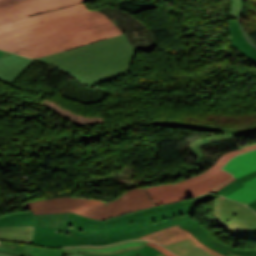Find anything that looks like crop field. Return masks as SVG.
<instances>
[{"label": "crop field", "instance_id": "e1f06a70", "mask_svg": "<svg viewBox=\"0 0 256 256\" xmlns=\"http://www.w3.org/2000/svg\"><path fill=\"white\" fill-rule=\"evenodd\" d=\"M138 256H142V255L139 254Z\"/></svg>", "mask_w": 256, "mask_h": 256}, {"label": "crop field", "instance_id": "ac0d7876", "mask_svg": "<svg viewBox=\"0 0 256 256\" xmlns=\"http://www.w3.org/2000/svg\"><path fill=\"white\" fill-rule=\"evenodd\" d=\"M135 49L126 35L38 58L90 87L126 74Z\"/></svg>", "mask_w": 256, "mask_h": 256}, {"label": "crop field", "instance_id": "d8731c3e", "mask_svg": "<svg viewBox=\"0 0 256 256\" xmlns=\"http://www.w3.org/2000/svg\"><path fill=\"white\" fill-rule=\"evenodd\" d=\"M224 170L231 172L236 178L256 170V150L243 153L225 164ZM246 186L231 193L229 198L243 204L256 199V178L244 183Z\"/></svg>", "mask_w": 256, "mask_h": 256}, {"label": "crop field", "instance_id": "1d83c4d3", "mask_svg": "<svg viewBox=\"0 0 256 256\" xmlns=\"http://www.w3.org/2000/svg\"><path fill=\"white\" fill-rule=\"evenodd\" d=\"M247 206L251 207L253 210L256 211V200L251 202V203H249V204H247Z\"/></svg>", "mask_w": 256, "mask_h": 256}, {"label": "crop field", "instance_id": "dd49c442", "mask_svg": "<svg viewBox=\"0 0 256 256\" xmlns=\"http://www.w3.org/2000/svg\"><path fill=\"white\" fill-rule=\"evenodd\" d=\"M123 33L124 32L120 30L114 23H111L106 26H102V27L94 28L81 33H77L63 39L29 47L15 53L23 54L27 57L38 58V57L58 53L74 47H78L85 44L111 38Z\"/></svg>", "mask_w": 256, "mask_h": 256}, {"label": "crop field", "instance_id": "3316defc", "mask_svg": "<svg viewBox=\"0 0 256 256\" xmlns=\"http://www.w3.org/2000/svg\"><path fill=\"white\" fill-rule=\"evenodd\" d=\"M87 0H39L25 5L0 11V24L52 11Z\"/></svg>", "mask_w": 256, "mask_h": 256}, {"label": "crop field", "instance_id": "8a807250", "mask_svg": "<svg viewBox=\"0 0 256 256\" xmlns=\"http://www.w3.org/2000/svg\"><path fill=\"white\" fill-rule=\"evenodd\" d=\"M111 22L80 3L0 25V48L14 52Z\"/></svg>", "mask_w": 256, "mask_h": 256}, {"label": "crop field", "instance_id": "d32e631a", "mask_svg": "<svg viewBox=\"0 0 256 256\" xmlns=\"http://www.w3.org/2000/svg\"><path fill=\"white\" fill-rule=\"evenodd\" d=\"M0 256H19V255H13V254H8V253H1Z\"/></svg>", "mask_w": 256, "mask_h": 256}, {"label": "crop field", "instance_id": "bc2a9ffb", "mask_svg": "<svg viewBox=\"0 0 256 256\" xmlns=\"http://www.w3.org/2000/svg\"><path fill=\"white\" fill-rule=\"evenodd\" d=\"M179 256H213L190 239L165 246Z\"/></svg>", "mask_w": 256, "mask_h": 256}, {"label": "crop field", "instance_id": "22f410ed", "mask_svg": "<svg viewBox=\"0 0 256 256\" xmlns=\"http://www.w3.org/2000/svg\"><path fill=\"white\" fill-rule=\"evenodd\" d=\"M33 62L34 60L6 52L0 57V80L10 84Z\"/></svg>", "mask_w": 256, "mask_h": 256}, {"label": "crop field", "instance_id": "00972430", "mask_svg": "<svg viewBox=\"0 0 256 256\" xmlns=\"http://www.w3.org/2000/svg\"><path fill=\"white\" fill-rule=\"evenodd\" d=\"M255 177H256V171L234 180L233 182H231L227 186H225L222 189H220L219 191H217V193L222 194L224 196H227L231 192H233V191L241 188L242 186H244L242 183H244V182H246V181H248L252 178H255Z\"/></svg>", "mask_w": 256, "mask_h": 256}, {"label": "crop field", "instance_id": "e52e79f7", "mask_svg": "<svg viewBox=\"0 0 256 256\" xmlns=\"http://www.w3.org/2000/svg\"><path fill=\"white\" fill-rule=\"evenodd\" d=\"M231 177V174L219 170L213 176L198 183L181 187L177 182H174L166 185L147 187L146 190L153 200L154 205L157 206L210 192Z\"/></svg>", "mask_w": 256, "mask_h": 256}, {"label": "crop field", "instance_id": "214f88e0", "mask_svg": "<svg viewBox=\"0 0 256 256\" xmlns=\"http://www.w3.org/2000/svg\"><path fill=\"white\" fill-rule=\"evenodd\" d=\"M239 153H243L241 150L239 151H234V152H230L226 155H223L219 158V160L216 162V164L210 168L209 170L205 171L204 173L196 176V177H193V178H190V179H187V180H184V181H181V182H178L179 185L183 186V185H186V184H190V183H194V182H198L212 174H214L217 170H219V168L225 164L229 158L239 154Z\"/></svg>", "mask_w": 256, "mask_h": 256}, {"label": "crop field", "instance_id": "5866460e", "mask_svg": "<svg viewBox=\"0 0 256 256\" xmlns=\"http://www.w3.org/2000/svg\"><path fill=\"white\" fill-rule=\"evenodd\" d=\"M227 256H239V255H235V254L229 253V254H227Z\"/></svg>", "mask_w": 256, "mask_h": 256}, {"label": "crop field", "instance_id": "34b2d1b8", "mask_svg": "<svg viewBox=\"0 0 256 256\" xmlns=\"http://www.w3.org/2000/svg\"><path fill=\"white\" fill-rule=\"evenodd\" d=\"M143 235L138 223L105 229L102 222L72 213H60L35 216L32 244L50 247L103 245Z\"/></svg>", "mask_w": 256, "mask_h": 256}, {"label": "crop field", "instance_id": "cbeb9de0", "mask_svg": "<svg viewBox=\"0 0 256 256\" xmlns=\"http://www.w3.org/2000/svg\"><path fill=\"white\" fill-rule=\"evenodd\" d=\"M188 238H190L194 243L201 246L208 252H210L216 256H224V255H221V254L213 251L209 247L201 244L191 233H189L186 230L180 229L179 225L151 233L149 235L143 236L138 239L155 241L164 246L166 244L177 242V241L188 239Z\"/></svg>", "mask_w": 256, "mask_h": 256}, {"label": "crop field", "instance_id": "28ad6ade", "mask_svg": "<svg viewBox=\"0 0 256 256\" xmlns=\"http://www.w3.org/2000/svg\"><path fill=\"white\" fill-rule=\"evenodd\" d=\"M191 216H192V214H189L186 216H180L177 218H171V219L163 220L156 224H151V225H148V226L142 227V228H143L144 234L146 235V234H149L151 232H154V231L166 228V227L178 225L179 222H189V223L195 225L196 227H198L199 229H201L212 241H214L216 244L223 247L227 251L233 252V253H236L239 255H244V256H256V249H233V248L223 244L222 242L214 239V237L206 230V228L203 225H201L198 221L191 218Z\"/></svg>", "mask_w": 256, "mask_h": 256}, {"label": "crop field", "instance_id": "f4fd0767", "mask_svg": "<svg viewBox=\"0 0 256 256\" xmlns=\"http://www.w3.org/2000/svg\"><path fill=\"white\" fill-rule=\"evenodd\" d=\"M218 197L220 196H217L215 194H205L203 196L195 197L193 199H187L179 203L160 207H153L129 213L118 218L110 219L105 222V225L106 228H108L117 225L138 222L141 226H145L147 224L155 223L163 219L193 213L196 205Z\"/></svg>", "mask_w": 256, "mask_h": 256}, {"label": "crop field", "instance_id": "ae1a2a85", "mask_svg": "<svg viewBox=\"0 0 256 256\" xmlns=\"http://www.w3.org/2000/svg\"><path fill=\"white\" fill-rule=\"evenodd\" d=\"M147 245H150V246H152V247H154V248H156V249L162 251V252L165 253L167 256H175L173 253H171V252L168 251L167 249H165V248H163V247H161V246H159V245H157V244H154V243H152V242H148ZM162 252H161V253H162ZM165 254H164V255H165Z\"/></svg>", "mask_w": 256, "mask_h": 256}, {"label": "crop field", "instance_id": "4177f3b9", "mask_svg": "<svg viewBox=\"0 0 256 256\" xmlns=\"http://www.w3.org/2000/svg\"><path fill=\"white\" fill-rule=\"evenodd\" d=\"M232 8L229 13L228 18L230 19H237L241 9H242V0H232Z\"/></svg>", "mask_w": 256, "mask_h": 256}, {"label": "crop field", "instance_id": "d9b57169", "mask_svg": "<svg viewBox=\"0 0 256 256\" xmlns=\"http://www.w3.org/2000/svg\"><path fill=\"white\" fill-rule=\"evenodd\" d=\"M228 33L234 49L256 63V48L245 39L237 21L228 20Z\"/></svg>", "mask_w": 256, "mask_h": 256}, {"label": "crop field", "instance_id": "4a817a6b", "mask_svg": "<svg viewBox=\"0 0 256 256\" xmlns=\"http://www.w3.org/2000/svg\"><path fill=\"white\" fill-rule=\"evenodd\" d=\"M152 124L162 125V126H170V127H178V128L226 132V133H228L230 135H234V136H239V135H243V134H247V133L256 131V126L244 128V129H238V130H231V129H224V128H219V127H214V126L201 125V124H195V123H187V122H179V121H159V122H152Z\"/></svg>", "mask_w": 256, "mask_h": 256}, {"label": "crop field", "instance_id": "5a996713", "mask_svg": "<svg viewBox=\"0 0 256 256\" xmlns=\"http://www.w3.org/2000/svg\"><path fill=\"white\" fill-rule=\"evenodd\" d=\"M33 214L31 211H19L0 216V239L31 244L34 232Z\"/></svg>", "mask_w": 256, "mask_h": 256}, {"label": "crop field", "instance_id": "412701ff", "mask_svg": "<svg viewBox=\"0 0 256 256\" xmlns=\"http://www.w3.org/2000/svg\"><path fill=\"white\" fill-rule=\"evenodd\" d=\"M154 206L145 188L124 192L116 200L102 201L86 197H61L25 203L21 210H31L34 215L73 212L104 220L130 211Z\"/></svg>", "mask_w": 256, "mask_h": 256}, {"label": "crop field", "instance_id": "730fd06b", "mask_svg": "<svg viewBox=\"0 0 256 256\" xmlns=\"http://www.w3.org/2000/svg\"><path fill=\"white\" fill-rule=\"evenodd\" d=\"M143 256H166L163 253H161L160 251L149 247L147 245L144 246V248L142 249L141 253Z\"/></svg>", "mask_w": 256, "mask_h": 256}, {"label": "crop field", "instance_id": "750c4746", "mask_svg": "<svg viewBox=\"0 0 256 256\" xmlns=\"http://www.w3.org/2000/svg\"><path fill=\"white\" fill-rule=\"evenodd\" d=\"M253 149H256V144L246 146V147L242 148V151L245 152V151H249V150H253Z\"/></svg>", "mask_w": 256, "mask_h": 256}, {"label": "crop field", "instance_id": "a9b5d70f", "mask_svg": "<svg viewBox=\"0 0 256 256\" xmlns=\"http://www.w3.org/2000/svg\"><path fill=\"white\" fill-rule=\"evenodd\" d=\"M32 1H35V0H0V10L25 4Z\"/></svg>", "mask_w": 256, "mask_h": 256}, {"label": "crop field", "instance_id": "d1516ede", "mask_svg": "<svg viewBox=\"0 0 256 256\" xmlns=\"http://www.w3.org/2000/svg\"><path fill=\"white\" fill-rule=\"evenodd\" d=\"M222 198L223 197L216 199L214 206V217L221 228L231 236L247 240H256V223L233 219L222 225L219 216Z\"/></svg>", "mask_w": 256, "mask_h": 256}, {"label": "crop field", "instance_id": "eef30255", "mask_svg": "<svg viewBox=\"0 0 256 256\" xmlns=\"http://www.w3.org/2000/svg\"><path fill=\"white\" fill-rule=\"evenodd\" d=\"M139 252L140 250H132V251L122 252V253H118L110 256H137ZM84 256H99V255L84 254Z\"/></svg>", "mask_w": 256, "mask_h": 256}, {"label": "crop field", "instance_id": "120bbe31", "mask_svg": "<svg viewBox=\"0 0 256 256\" xmlns=\"http://www.w3.org/2000/svg\"><path fill=\"white\" fill-rule=\"evenodd\" d=\"M26 256H31V255L27 254ZM67 256H83V252L82 253H75V254L67 255Z\"/></svg>", "mask_w": 256, "mask_h": 256}, {"label": "crop field", "instance_id": "5142ce71", "mask_svg": "<svg viewBox=\"0 0 256 256\" xmlns=\"http://www.w3.org/2000/svg\"><path fill=\"white\" fill-rule=\"evenodd\" d=\"M146 241L143 240H130L106 247H93V246H83V247H71L64 248L65 254H71L74 252L90 253V254H99V255H109L117 252L127 251L131 249H142L146 244Z\"/></svg>", "mask_w": 256, "mask_h": 256}, {"label": "crop field", "instance_id": "028f5c9d", "mask_svg": "<svg viewBox=\"0 0 256 256\" xmlns=\"http://www.w3.org/2000/svg\"><path fill=\"white\" fill-rule=\"evenodd\" d=\"M5 52L4 51H0V56L3 55Z\"/></svg>", "mask_w": 256, "mask_h": 256}, {"label": "crop field", "instance_id": "dafd665d", "mask_svg": "<svg viewBox=\"0 0 256 256\" xmlns=\"http://www.w3.org/2000/svg\"><path fill=\"white\" fill-rule=\"evenodd\" d=\"M226 136V137H224ZM235 138L234 136H230L228 134H221V135H217V136H213L210 138H199L197 140H195L191 145H190V151L196 156L197 162H199V160L201 159V152H200V147L208 144L210 142H215V141H221V140H228V139H233Z\"/></svg>", "mask_w": 256, "mask_h": 256}, {"label": "crop field", "instance_id": "733c2abd", "mask_svg": "<svg viewBox=\"0 0 256 256\" xmlns=\"http://www.w3.org/2000/svg\"><path fill=\"white\" fill-rule=\"evenodd\" d=\"M220 215L222 223H225L233 218L256 222V213H254L248 207L235 203L226 198H223Z\"/></svg>", "mask_w": 256, "mask_h": 256}, {"label": "crop field", "instance_id": "d3111659", "mask_svg": "<svg viewBox=\"0 0 256 256\" xmlns=\"http://www.w3.org/2000/svg\"><path fill=\"white\" fill-rule=\"evenodd\" d=\"M107 14H108V13H107ZM109 15H110V14H109ZM110 16H111L112 19H114L112 15H110ZM115 24H117L116 21H115ZM117 25H118V24H117ZM120 27H123V26L121 25ZM127 30H128V29H127ZM128 32L131 33V35L133 36V38H134V37L140 38L139 36H137V32H136L135 29L128 30ZM128 32H127V33H128Z\"/></svg>", "mask_w": 256, "mask_h": 256}, {"label": "crop field", "instance_id": "92a150f3", "mask_svg": "<svg viewBox=\"0 0 256 256\" xmlns=\"http://www.w3.org/2000/svg\"><path fill=\"white\" fill-rule=\"evenodd\" d=\"M181 228L188 230L191 232L201 243L209 246L210 248L226 255V250L222 249L218 245H216L214 242H212L201 230L196 228L195 226L188 224V223H180Z\"/></svg>", "mask_w": 256, "mask_h": 256}, {"label": "crop field", "instance_id": "bd1437ed", "mask_svg": "<svg viewBox=\"0 0 256 256\" xmlns=\"http://www.w3.org/2000/svg\"><path fill=\"white\" fill-rule=\"evenodd\" d=\"M236 178H232L229 181L225 182L224 184H222L221 186H219L218 188H216L215 190H213L212 192H216L217 190H219L220 188H222L223 186H225L226 184L230 183L231 181H233Z\"/></svg>", "mask_w": 256, "mask_h": 256}]
</instances>
